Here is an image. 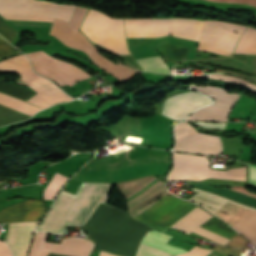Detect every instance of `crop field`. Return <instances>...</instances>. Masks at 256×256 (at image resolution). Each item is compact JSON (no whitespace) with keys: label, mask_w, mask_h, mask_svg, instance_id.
<instances>
[{"label":"crop field","mask_w":256,"mask_h":256,"mask_svg":"<svg viewBox=\"0 0 256 256\" xmlns=\"http://www.w3.org/2000/svg\"><path fill=\"white\" fill-rule=\"evenodd\" d=\"M249 167V182L256 185V166L248 164Z\"/></svg>","instance_id":"obj_35"},{"label":"crop field","mask_w":256,"mask_h":256,"mask_svg":"<svg viewBox=\"0 0 256 256\" xmlns=\"http://www.w3.org/2000/svg\"><path fill=\"white\" fill-rule=\"evenodd\" d=\"M18 33L12 29L10 26H8L3 19L0 17V35L3 36L7 41L11 43V41L14 39V37Z\"/></svg>","instance_id":"obj_32"},{"label":"crop field","mask_w":256,"mask_h":256,"mask_svg":"<svg viewBox=\"0 0 256 256\" xmlns=\"http://www.w3.org/2000/svg\"><path fill=\"white\" fill-rule=\"evenodd\" d=\"M0 256H12L10 248L2 241H0Z\"/></svg>","instance_id":"obj_36"},{"label":"crop field","mask_w":256,"mask_h":256,"mask_svg":"<svg viewBox=\"0 0 256 256\" xmlns=\"http://www.w3.org/2000/svg\"><path fill=\"white\" fill-rule=\"evenodd\" d=\"M204 78H212V79H223L241 86H244L246 88H249L251 90L256 91V85L252 84L240 77L230 76V75H224V74H212V75H204Z\"/></svg>","instance_id":"obj_29"},{"label":"crop field","mask_w":256,"mask_h":256,"mask_svg":"<svg viewBox=\"0 0 256 256\" xmlns=\"http://www.w3.org/2000/svg\"><path fill=\"white\" fill-rule=\"evenodd\" d=\"M201 127L205 128H221L224 129L226 123H210V122H196Z\"/></svg>","instance_id":"obj_34"},{"label":"crop field","mask_w":256,"mask_h":256,"mask_svg":"<svg viewBox=\"0 0 256 256\" xmlns=\"http://www.w3.org/2000/svg\"><path fill=\"white\" fill-rule=\"evenodd\" d=\"M17 49L7 43L3 38L0 37V59L9 57L15 54H19Z\"/></svg>","instance_id":"obj_31"},{"label":"crop field","mask_w":256,"mask_h":256,"mask_svg":"<svg viewBox=\"0 0 256 256\" xmlns=\"http://www.w3.org/2000/svg\"><path fill=\"white\" fill-rule=\"evenodd\" d=\"M76 6L60 5L48 1L39 0H0V14L27 15L56 17L70 22ZM2 15L5 19L24 21L53 22L54 18L9 16Z\"/></svg>","instance_id":"obj_8"},{"label":"crop field","mask_w":256,"mask_h":256,"mask_svg":"<svg viewBox=\"0 0 256 256\" xmlns=\"http://www.w3.org/2000/svg\"><path fill=\"white\" fill-rule=\"evenodd\" d=\"M137 62L143 70L170 73L167 65L160 56L138 59Z\"/></svg>","instance_id":"obj_24"},{"label":"crop field","mask_w":256,"mask_h":256,"mask_svg":"<svg viewBox=\"0 0 256 256\" xmlns=\"http://www.w3.org/2000/svg\"><path fill=\"white\" fill-rule=\"evenodd\" d=\"M120 57L123 58L124 60H126L127 62H129L130 64H132L133 66H135L136 68L142 70L141 67L133 59L132 55H124V56H120Z\"/></svg>","instance_id":"obj_37"},{"label":"crop field","mask_w":256,"mask_h":256,"mask_svg":"<svg viewBox=\"0 0 256 256\" xmlns=\"http://www.w3.org/2000/svg\"><path fill=\"white\" fill-rule=\"evenodd\" d=\"M81 31L91 40L114 53H130L126 44L123 19H112L90 9L81 26Z\"/></svg>","instance_id":"obj_7"},{"label":"crop field","mask_w":256,"mask_h":256,"mask_svg":"<svg viewBox=\"0 0 256 256\" xmlns=\"http://www.w3.org/2000/svg\"><path fill=\"white\" fill-rule=\"evenodd\" d=\"M201 227L208 229L210 231H213L217 234H220L222 236H225L229 239L233 238L238 233L231 229L227 224L223 223L216 217L210 218L208 221H206Z\"/></svg>","instance_id":"obj_23"},{"label":"crop field","mask_w":256,"mask_h":256,"mask_svg":"<svg viewBox=\"0 0 256 256\" xmlns=\"http://www.w3.org/2000/svg\"><path fill=\"white\" fill-rule=\"evenodd\" d=\"M189 88L199 90L215 98V102L207 107L199 109L186 120H221L225 121L233 104L239 97V94L225 92L213 86L190 85Z\"/></svg>","instance_id":"obj_13"},{"label":"crop field","mask_w":256,"mask_h":256,"mask_svg":"<svg viewBox=\"0 0 256 256\" xmlns=\"http://www.w3.org/2000/svg\"><path fill=\"white\" fill-rule=\"evenodd\" d=\"M202 21L191 19H126L128 37H160L172 35L198 41Z\"/></svg>","instance_id":"obj_5"},{"label":"crop field","mask_w":256,"mask_h":256,"mask_svg":"<svg viewBox=\"0 0 256 256\" xmlns=\"http://www.w3.org/2000/svg\"><path fill=\"white\" fill-rule=\"evenodd\" d=\"M111 184L82 183L77 194L63 191L37 230L64 233L69 225L83 226L99 203H105Z\"/></svg>","instance_id":"obj_3"},{"label":"crop field","mask_w":256,"mask_h":256,"mask_svg":"<svg viewBox=\"0 0 256 256\" xmlns=\"http://www.w3.org/2000/svg\"><path fill=\"white\" fill-rule=\"evenodd\" d=\"M47 234L36 233L30 256H46L49 251L73 255L89 256L94 243L88 239L72 238L62 239L61 244L45 242Z\"/></svg>","instance_id":"obj_14"},{"label":"crop field","mask_w":256,"mask_h":256,"mask_svg":"<svg viewBox=\"0 0 256 256\" xmlns=\"http://www.w3.org/2000/svg\"><path fill=\"white\" fill-rule=\"evenodd\" d=\"M99 256H115V255H111L107 252L101 251Z\"/></svg>","instance_id":"obj_40"},{"label":"crop field","mask_w":256,"mask_h":256,"mask_svg":"<svg viewBox=\"0 0 256 256\" xmlns=\"http://www.w3.org/2000/svg\"><path fill=\"white\" fill-rule=\"evenodd\" d=\"M48 256H66V255H60V254L49 253Z\"/></svg>","instance_id":"obj_41"},{"label":"crop field","mask_w":256,"mask_h":256,"mask_svg":"<svg viewBox=\"0 0 256 256\" xmlns=\"http://www.w3.org/2000/svg\"><path fill=\"white\" fill-rule=\"evenodd\" d=\"M215 1H222V2H239V3H246L256 6V0H215Z\"/></svg>","instance_id":"obj_38"},{"label":"crop field","mask_w":256,"mask_h":256,"mask_svg":"<svg viewBox=\"0 0 256 256\" xmlns=\"http://www.w3.org/2000/svg\"><path fill=\"white\" fill-rule=\"evenodd\" d=\"M33 63L34 69L50 77L60 86L72 85L76 81L90 77L84 70L67 62L46 55L42 50L26 54Z\"/></svg>","instance_id":"obj_11"},{"label":"crop field","mask_w":256,"mask_h":256,"mask_svg":"<svg viewBox=\"0 0 256 256\" xmlns=\"http://www.w3.org/2000/svg\"><path fill=\"white\" fill-rule=\"evenodd\" d=\"M0 104L6 105L8 107H11L13 109H16L18 111L24 112L26 114H29L33 116L38 111L42 110L38 107H35L33 105H30L26 102H23L21 100L6 96L4 94H0Z\"/></svg>","instance_id":"obj_22"},{"label":"crop field","mask_w":256,"mask_h":256,"mask_svg":"<svg viewBox=\"0 0 256 256\" xmlns=\"http://www.w3.org/2000/svg\"><path fill=\"white\" fill-rule=\"evenodd\" d=\"M37 223H11L8 226V232L5 242L8 243L15 256H27L30 239Z\"/></svg>","instance_id":"obj_18"},{"label":"crop field","mask_w":256,"mask_h":256,"mask_svg":"<svg viewBox=\"0 0 256 256\" xmlns=\"http://www.w3.org/2000/svg\"><path fill=\"white\" fill-rule=\"evenodd\" d=\"M0 91L13 95L24 101L27 100L29 97H31L33 94H35L23 87H19L14 84H5V83H0Z\"/></svg>","instance_id":"obj_27"},{"label":"crop field","mask_w":256,"mask_h":256,"mask_svg":"<svg viewBox=\"0 0 256 256\" xmlns=\"http://www.w3.org/2000/svg\"><path fill=\"white\" fill-rule=\"evenodd\" d=\"M175 138L176 145L173 150L203 154L222 153L219 137L198 133L186 122L175 127Z\"/></svg>","instance_id":"obj_12"},{"label":"crop field","mask_w":256,"mask_h":256,"mask_svg":"<svg viewBox=\"0 0 256 256\" xmlns=\"http://www.w3.org/2000/svg\"><path fill=\"white\" fill-rule=\"evenodd\" d=\"M162 55L166 62L178 63L180 61L186 60L183 47L178 45L168 44L164 46Z\"/></svg>","instance_id":"obj_25"},{"label":"crop field","mask_w":256,"mask_h":256,"mask_svg":"<svg viewBox=\"0 0 256 256\" xmlns=\"http://www.w3.org/2000/svg\"><path fill=\"white\" fill-rule=\"evenodd\" d=\"M157 179L154 177V175H152L116 184L121 194L129 199L132 196L143 191L144 189L148 188L149 186L158 182L159 180ZM163 189H165V183L160 181L155 185L149 187L148 189L144 190L143 192L139 193L138 195L127 200V205L130 213H132L138 207L150 200ZM167 193L168 192L166 189L163 190L157 196H155L150 201L141 206L139 209L134 211L131 216L136 219ZM151 202L153 203L149 205V203ZM196 206L197 205L191 202L176 198L173 195H166L136 220L148 225L155 231L164 233L168 227H170L172 224H174Z\"/></svg>","instance_id":"obj_1"},{"label":"crop field","mask_w":256,"mask_h":256,"mask_svg":"<svg viewBox=\"0 0 256 256\" xmlns=\"http://www.w3.org/2000/svg\"><path fill=\"white\" fill-rule=\"evenodd\" d=\"M114 207L100 205L83 228L89 231L88 237L96 243L93 252L106 250L119 255L136 256L142 238L152 229L132 219L129 213Z\"/></svg>","instance_id":"obj_2"},{"label":"crop field","mask_w":256,"mask_h":256,"mask_svg":"<svg viewBox=\"0 0 256 256\" xmlns=\"http://www.w3.org/2000/svg\"><path fill=\"white\" fill-rule=\"evenodd\" d=\"M211 216V214L201 210L199 207H196L194 210L181 218L176 224H174L172 228L181 230L187 234L194 231L211 240H215L223 244L227 243L229 239L199 227Z\"/></svg>","instance_id":"obj_17"},{"label":"crop field","mask_w":256,"mask_h":256,"mask_svg":"<svg viewBox=\"0 0 256 256\" xmlns=\"http://www.w3.org/2000/svg\"><path fill=\"white\" fill-rule=\"evenodd\" d=\"M174 168L168 180H201L209 177L245 180V167L227 171L209 170L206 157L173 153Z\"/></svg>","instance_id":"obj_9"},{"label":"crop field","mask_w":256,"mask_h":256,"mask_svg":"<svg viewBox=\"0 0 256 256\" xmlns=\"http://www.w3.org/2000/svg\"><path fill=\"white\" fill-rule=\"evenodd\" d=\"M216 248L224 250V251H226V252H228V253H230V254H232L234 256H241L240 255L241 250H239V249H234V248H229V247H224V246H219V245H216L214 247V249H216ZM218 249H216V250L221 252V253H223V254H226L227 256H232V255H230V254H228V253H226L224 251L218 250Z\"/></svg>","instance_id":"obj_33"},{"label":"crop field","mask_w":256,"mask_h":256,"mask_svg":"<svg viewBox=\"0 0 256 256\" xmlns=\"http://www.w3.org/2000/svg\"><path fill=\"white\" fill-rule=\"evenodd\" d=\"M189 185L195 187L194 192L205 194L224 201L226 200L231 190L230 188L211 187L209 185H215L202 182L190 181ZM201 194L196 193L194 196L189 198V200H192L198 204L201 203L202 206L205 207L207 210L216 214L220 207L223 205L224 201L207 197ZM226 201L249 209H256V195L249 191H246L244 186H233V189L231 190ZM227 202L224 203V205L221 207L216 215L233 226L243 215H245L249 211V209L236 206ZM222 211L228 214H224L222 213Z\"/></svg>","instance_id":"obj_4"},{"label":"crop field","mask_w":256,"mask_h":256,"mask_svg":"<svg viewBox=\"0 0 256 256\" xmlns=\"http://www.w3.org/2000/svg\"><path fill=\"white\" fill-rule=\"evenodd\" d=\"M211 102L209 98L199 93L185 92L169 97L164 103L162 114L179 122L191 112Z\"/></svg>","instance_id":"obj_15"},{"label":"crop field","mask_w":256,"mask_h":256,"mask_svg":"<svg viewBox=\"0 0 256 256\" xmlns=\"http://www.w3.org/2000/svg\"><path fill=\"white\" fill-rule=\"evenodd\" d=\"M170 238L171 236L162 233L148 232L144 237L142 244L167 251L176 256H206L212 251L195 246L193 249L187 252L178 247L166 244Z\"/></svg>","instance_id":"obj_19"},{"label":"crop field","mask_w":256,"mask_h":256,"mask_svg":"<svg viewBox=\"0 0 256 256\" xmlns=\"http://www.w3.org/2000/svg\"><path fill=\"white\" fill-rule=\"evenodd\" d=\"M65 180V177L61 176L59 173H56L44 191V199H54L57 191Z\"/></svg>","instance_id":"obj_28"},{"label":"crop field","mask_w":256,"mask_h":256,"mask_svg":"<svg viewBox=\"0 0 256 256\" xmlns=\"http://www.w3.org/2000/svg\"><path fill=\"white\" fill-rule=\"evenodd\" d=\"M137 256H173L164 251L140 244Z\"/></svg>","instance_id":"obj_30"},{"label":"crop field","mask_w":256,"mask_h":256,"mask_svg":"<svg viewBox=\"0 0 256 256\" xmlns=\"http://www.w3.org/2000/svg\"><path fill=\"white\" fill-rule=\"evenodd\" d=\"M233 227L256 243V211L250 210Z\"/></svg>","instance_id":"obj_20"},{"label":"crop field","mask_w":256,"mask_h":256,"mask_svg":"<svg viewBox=\"0 0 256 256\" xmlns=\"http://www.w3.org/2000/svg\"><path fill=\"white\" fill-rule=\"evenodd\" d=\"M231 57L238 59L245 63L246 55H240V54H233Z\"/></svg>","instance_id":"obj_39"},{"label":"crop field","mask_w":256,"mask_h":256,"mask_svg":"<svg viewBox=\"0 0 256 256\" xmlns=\"http://www.w3.org/2000/svg\"><path fill=\"white\" fill-rule=\"evenodd\" d=\"M245 28L220 21H205L197 50L230 55Z\"/></svg>","instance_id":"obj_10"},{"label":"crop field","mask_w":256,"mask_h":256,"mask_svg":"<svg viewBox=\"0 0 256 256\" xmlns=\"http://www.w3.org/2000/svg\"><path fill=\"white\" fill-rule=\"evenodd\" d=\"M45 213L41 200H25L0 211V223L17 221H39Z\"/></svg>","instance_id":"obj_16"},{"label":"crop field","mask_w":256,"mask_h":256,"mask_svg":"<svg viewBox=\"0 0 256 256\" xmlns=\"http://www.w3.org/2000/svg\"><path fill=\"white\" fill-rule=\"evenodd\" d=\"M0 72H22L21 79L24 83L38 92L27 102L41 108H46L54 103L73 100L64 94L53 82L40 77L31 70V64L25 54L0 62Z\"/></svg>","instance_id":"obj_6"},{"label":"crop field","mask_w":256,"mask_h":256,"mask_svg":"<svg viewBox=\"0 0 256 256\" xmlns=\"http://www.w3.org/2000/svg\"><path fill=\"white\" fill-rule=\"evenodd\" d=\"M235 53L256 54V29L247 28L237 43Z\"/></svg>","instance_id":"obj_21"},{"label":"crop field","mask_w":256,"mask_h":256,"mask_svg":"<svg viewBox=\"0 0 256 256\" xmlns=\"http://www.w3.org/2000/svg\"><path fill=\"white\" fill-rule=\"evenodd\" d=\"M29 118L31 117L0 105V126Z\"/></svg>","instance_id":"obj_26"}]
</instances>
